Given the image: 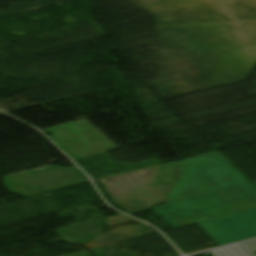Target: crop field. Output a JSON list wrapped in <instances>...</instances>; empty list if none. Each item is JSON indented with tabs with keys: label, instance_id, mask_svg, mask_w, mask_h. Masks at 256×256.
<instances>
[{
	"label": "crop field",
	"instance_id": "412701ff",
	"mask_svg": "<svg viewBox=\"0 0 256 256\" xmlns=\"http://www.w3.org/2000/svg\"><path fill=\"white\" fill-rule=\"evenodd\" d=\"M213 256H250L239 244L210 251Z\"/></svg>",
	"mask_w": 256,
	"mask_h": 256
},
{
	"label": "crop field",
	"instance_id": "8a807250",
	"mask_svg": "<svg viewBox=\"0 0 256 256\" xmlns=\"http://www.w3.org/2000/svg\"><path fill=\"white\" fill-rule=\"evenodd\" d=\"M166 197L153 211L174 228L256 208V187L216 152L183 160Z\"/></svg>",
	"mask_w": 256,
	"mask_h": 256
},
{
	"label": "crop field",
	"instance_id": "ac0d7876",
	"mask_svg": "<svg viewBox=\"0 0 256 256\" xmlns=\"http://www.w3.org/2000/svg\"><path fill=\"white\" fill-rule=\"evenodd\" d=\"M199 225L220 246L256 237V209L201 222Z\"/></svg>",
	"mask_w": 256,
	"mask_h": 256
},
{
	"label": "crop field",
	"instance_id": "dd49c442",
	"mask_svg": "<svg viewBox=\"0 0 256 256\" xmlns=\"http://www.w3.org/2000/svg\"><path fill=\"white\" fill-rule=\"evenodd\" d=\"M69 256H86V255H84L82 252H80V253L72 254V255H69Z\"/></svg>",
	"mask_w": 256,
	"mask_h": 256
},
{
	"label": "crop field",
	"instance_id": "f4fd0767",
	"mask_svg": "<svg viewBox=\"0 0 256 256\" xmlns=\"http://www.w3.org/2000/svg\"><path fill=\"white\" fill-rule=\"evenodd\" d=\"M251 256H256V240L240 244Z\"/></svg>",
	"mask_w": 256,
	"mask_h": 256
},
{
	"label": "crop field",
	"instance_id": "34b2d1b8",
	"mask_svg": "<svg viewBox=\"0 0 256 256\" xmlns=\"http://www.w3.org/2000/svg\"><path fill=\"white\" fill-rule=\"evenodd\" d=\"M182 160L144 170V175L166 196L179 179Z\"/></svg>",
	"mask_w": 256,
	"mask_h": 256
}]
</instances>
